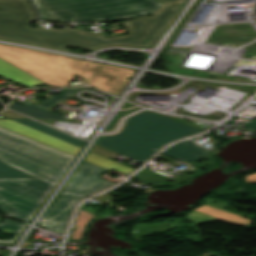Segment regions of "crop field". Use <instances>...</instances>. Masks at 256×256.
Returning <instances> with one entry per match:
<instances>
[{
  "instance_id": "obj_17",
  "label": "crop field",
  "mask_w": 256,
  "mask_h": 256,
  "mask_svg": "<svg viewBox=\"0 0 256 256\" xmlns=\"http://www.w3.org/2000/svg\"><path fill=\"white\" fill-rule=\"evenodd\" d=\"M187 217L189 218V220L191 222H193L196 225L220 220V219H216V218H213V217H210V216H207V215H204V214H200V213H197V212H194V211L189 213L187 215ZM224 222H226V221H224ZM227 223H229V222H227Z\"/></svg>"
},
{
  "instance_id": "obj_15",
  "label": "crop field",
  "mask_w": 256,
  "mask_h": 256,
  "mask_svg": "<svg viewBox=\"0 0 256 256\" xmlns=\"http://www.w3.org/2000/svg\"><path fill=\"white\" fill-rule=\"evenodd\" d=\"M0 178H35L0 161Z\"/></svg>"
},
{
  "instance_id": "obj_7",
  "label": "crop field",
  "mask_w": 256,
  "mask_h": 256,
  "mask_svg": "<svg viewBox=\"0 0 256 256\" xmlns=\"http://www.w3.org/2000/svg\"><path fill=\"white\" fill-rule=\"evenodd\" d=\"M0 127L67 153L72 156L78 155L81 151V148L76 147L67 142L61 141L59 139L53 138L51 136L45 135L43 133L32 130L24 125L18 124L10 120H0Z\"/></svg>"
},
{
  "instance_id": "obj_11",
  "label": "crop field",
  "mask_w": 256,
  "mask_h": 256,
  "mask_svg": "<svg viewBox=\"0 0 256 256\" xmlns=\"http://www.w3.org/2000/svg\"><path fill=\"white\" fill-rule=\"evenodd\" d=\"M8 108L13 109L21 114H24V115H27V116H30L33 118L68 120V119L62 118L60 116H57L45 109L37 107L34 104L21 106L17 103L12 102V104Z\"/></svg>"
},
{
  "instance_id": "obj_2",
  "label": "crop field",
  "mask_w": 256,
  "mask_h": 256,
  "mask_svg": "<svg viewBox=\"0 0 256 256\" xmlns=\"http://www.w3.org/2000/svg\"><path fill=\"white\" fill-rule=\"evenodd\" d=\"M0 159L39 179H0V210L29 223L74 157L0 128Z\"/></svg>"
},
{
  "instance_id": "obj_3",
  "label": "crop field",
  "mask_w": 256,
  "mask_h": 256,
  "mask_svg": "<svg viewBox=\"0 0 256 256\" xmlns=\"http://www.w3.org/2000/svg\"><path fill=\"white\" fill-rule=\"evenodd\" d=\"M0 58L46 82L51 87L69 86L73 74L92 86L119 95L134 70L0 44ZM103 90V91H104Z\"/></svg>"
},
{
  "instance_id": "obj_10",
  "label": "crop field",
  "mask_w": 256,
  "mask_h": 256,
  "mask_svg": "<svg viewBox=\"0 0 256 256\" xmlns=\"http://www.w3.org/2000/svg\"><path fill=\"white\" fill-rule=\"evenodd\" d=\"M13 121L24 124V125H26L30 128H33V129L38 130L40 132H43V133H46L48 135L54 136L56 138L62 139L64 141L72 143V144H74L76 146H79L81 148H83V146L85 144V141H83V140H80V139L75 138L73 136L67 135L65 133H62L60 131H57L55 129L47 127L45 125L34 122L32 120H13Z\"/></svg>"
},
{
  "instance_id": "obj_16",
  "label": "crop field",
  "mask_w": 256,
  "mask_h": 256,
  "mask_svg": "<svg viewBox=\"0 0 256 256\" xmlns=\"http://www.w3.org/2000/svg\"><path fill=\"white\" fill-rule=\"evenodd\" d=\"M80 89H82V88L63 89L64 92L61 95L52 96V97L48 98L47 100L41 102L37 106H40V107L45 108V109H48L51 106H53L56 103H58L59 101L63 100L64 98L74 94L75 92H77Z\"/></svg>"
},
{
  "instance_id": "obj_19",
  "label": "crop field",
  "mask_w": 256,
  "mask_h": 256,
  "mask_svg": "<svg viewBox=\"0 0 256 256\" xmlns=\"http://www.w3.org/2000/svg\"><path fill=\"white\" fill-rule=\"evenodd\" d=\"M1 116L6 117V118H24V117H22V116L16 115V114L11 113V112H9V111H4V112L1 114Z\"/></svg>"
},
{
  "instance_id": "obj_14",
  "label": "crop field",
  "mask_w": 256,
  "mask_h": 256,
  "mask_svg": "<svg viewBox=\"0 0 256 256\" xmlns=\"http://www.w3.org/2000/svg\"><path fill=\"white\" fill-rule=\"evenodd\" d=\"M27 227V225L20 224L8 219H5L0 223V232H14L17 233L16 237L13 240H0L2 243H14L15 240L19 237L21 232Z\"/></svg>"
},
{
  "instance_id": "obj_5",
  "label": "crop field",
  "mask_w": 256,
  "mask_h": 256,
  "mask_svg": "<svg viewBox=\"0 0 256 256\" xmlns=\"http://www.w3.org/2000/svg\"><path fill=\"white\" fill-rule=\"evenodd\" d=\"M43 21L89 22L141 16L163 5L156 0H34Z\"/></svg>"
},
{
  "instance_id": "obj_18",
  "label": "crop field",
  "mask_w": 256,
  "mask_h": 256,
  "mask_svg": "<svg viewBox=\"0 0 256 256\" xmlns=\"http://www.w3.org/2000/svg\"><path fill=\"white\" fill-rule=\"evenodd\" d=\"M90 151L95 152V153H97V154H99V155H101L103 157H106V158H108V157L112 156L113 154H115L114 152H112L110 150L101 148V147L96 146V145H94L93 148Z\"/></svg>"
},
{
  "instance_id": "obj_6",
  "label": "crop field",
  "mask_w": 256,
  "mask_h": 256,
  "mask_svg": "<svg viewBox=\"0 0 256 256\" xmlns=\"http://www.w3.org/2000/svg\"><path fill=\"white\" fill-rule=\"evenodd\" d=\"M106 170L82 162L62 190L56 203L39 222L44 228L63 234L74 204L83 196L105 189L113 183L98 178Z\"/></svg>"
},
{
  "instance_id": "obj_13",
  "label": "crop field",
  "mask_w": 256,
  "mask_h": 256,
  "mask_svg": "<svg viewBox=\"0 0 256 256\" xmlns=\"http://www.w3.org/2000/svg\"><path fill=\"white\" fill-rule=\"evenodd\" d=\"M93 216H95V215L80 208L78 211V214L76 216L75 222L73 224L74 226H77V227L75 228L74 231H70L68 237H70L71 239L80 240L83 235L86 223Z\"/></svg>"
},
{
  "instance_id": "obj_8",
  "label": "crop field",
  "mask_w": 256,
  "mask_h": 256,
  "mask_svg": "<svg viewBox=\"0 0 256 256\" xmlns=\"http://www.w3.org/2000/svg\"><path fill=\"white\" fill-rule=\"evenodd\" d=\"M208 153V150L187 141L169 148L163 154L181 161L195 162L206 157Z\"/></svg>"
},
{
  "instance_id": "obj_4",
  "label": "crop field",
  "mask_w": 256,
  "mask_h": 256,
  "mask_svg": "<svg viewBox=\"0 0 256 256\" xmlns=\"http://www.w3.org/2000/svg\"><path fill=\"white\" fill-rule=\"evenodd\" d=\"M198 132L171 118L142 112L129 118L119 134L100 137L96 145L144 163L164 144Z\"/></svg>"
},
{
  "instance_id": "obj_9",
  "label": "crop field",
  "mask_w": 256,
  "mask_h": 256,
  "mask_svg": "<svg viewBox=\"0 0 256 256\" xmlns=\"http://www.w3.org/2000/svg\"><path fill=\"white\" fill-rule=\"evenodd\" d=\"M0 76L12 80L16 83L24 85L28 88L44 84V82L36 79L35 77L25 73L24 71L16 68L15 66L0 59Z\"/></svg>"
},
{
  "instance_id": "obj_12",
  "label": "crop field",
  "mask_w": 256,
  "mask_h": 256,
  "mask_svg": "<svg viewBox=\"0 0 256 256\" xmlns=\"http://www.w3.org/2000/svg\"><path fill=\"white\" fill-rule=\"evenodd\" d=\"M85 161H88L92 164H95L99 167H102L106 170H109L111 168H114L116 170H119L121 172H124L126 174L130 173L132 170V168H129L127 166L121 165L119 163H116L114 161H111L109 159L100 157L94 153L89 152L88 155L86 156V158L84 159Z\"/></svg>"
},
{
  "instance_id": "obj_1",
  "label": "crop field",
  "mask_w": 256,
  "mask_h": 256,
  "mask_svg": "<svg viewBox=\"0 0 256 256\" xmlns=\"http://www.w3.org/2000/svg\"><path fill=\"white\" fill-rule=\"evenodd\" d=\"M165 5L154 15L139 20L122 22L127 35L106 38L79 29H40L31 26L37 20L28 0H0V39L56 48L71 52L67 46L98 50L110 46L151 47L178 15L186 0H159Z\"/></svg>"
},
{
  "instance_id": "obj_20",
  "label": "crop field",
  "mask_w": 256,
  "mask_h": 256,
  "mask_svg": "<svg viewBox=\"0 0 256 256\" xmlns=\"http://www.w3.org/2000/svg\"><path fill=\"white\" fill-rule=\"evenodd\" d=\"M243 128L256 131V120L246 124Z\"/></svg>"
}]
</instances>
